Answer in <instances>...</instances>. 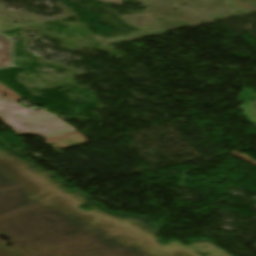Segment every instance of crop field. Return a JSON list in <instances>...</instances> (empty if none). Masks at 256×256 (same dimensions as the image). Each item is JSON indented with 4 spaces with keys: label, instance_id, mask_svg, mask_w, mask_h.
Masks as SVG:
<instances>
[{
    "label": "crop field",
    "instance_id": "ac0d7876",
    "mask_svg": "<svg viewBox=\"0 0 256 256\" xmlns=\"http://www.w3.org/2000/svg\"><path fill=\"white\" fill-rule=\"evenodd\" d=\"M11 65V42L0 35V68Z\"/></svg>",
    "mask_w": 256,
    "mask_h": 256
},
{
    "label": "crop field",
    "instance_id": "34b2d1b8",
    "mask_svg": "<svg viewBox=\"0 0 256 256\" xmlns=\"http://www.w3.org/2000/svg\"><path fill=\"white\" fill-rule=\"evenodd\" d=\"M27 113H32L30 111L22 112V113H17L16 115L19 116L21 119L23 118H28L25 114Z\"/></svg>",
    "mask_w": 256,
    "mask_h": 256
},
{
    "label": "crop field",
    "instance_id": "8a807250",
    "mask_svg": "<svg viewBox=\"0 0 256 256\" xmlns=\"http://www.w3.org/2000/svg\"><path fill=\"white\" fill-rule=\"evenodd\" d=\"M0 110H4L11 118L18 122L29 133H26L14 121H12L3 111H0V118L7 123L18 134L34 133L42 138H49L59 134L67 133L75 130L68 124L64 123L55 116L42 110L36 113L28 114V119L21 120L14 113L26 111L12 103L0 102Z\"/></svg>",
    "mask_w": 256,
    "mask_h": 256
}]
</instances>
